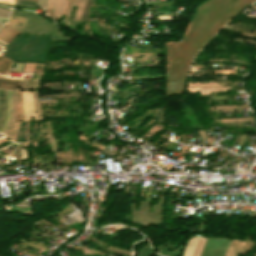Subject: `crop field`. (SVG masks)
<instances>
[{
    "label": "crop field",
    "instance_id": "crop-field-1",
    "mask_svg": "<svg viewBox=\"0 0 256 256\" xmlns=\"http://www.w3.org/2000/svg\"><path fill=\"white\" fill-rule=\"evenodd\" d=\"M204 239L202 236H192L187 242L182 256H198Z\"/></svg>",
    "mask_w": 256,
    "mask_h": 256
},
{
    "label": "crop field",
    "instance_id": "crop-field-2",
    "mask_svg": "<svg viewBox=\"0 0 256 256\" xmlns=\"http://www.w3.org/2000/svg\"><path fill=\"white\" fill-rule=\"evenodd\" d=\"M23 118L24 120L37 119L31 92H23Z\"/></svg>",
    "mask_w": 256,
    "mask_h": 256
},
{
    "label": "crop field",
    "instance_id": "crop-field-3",
    "mask_svg": "<svg viewBox=\"0 0 256 256\" xmlns=\"http://www.w3.org/2000/svg\"><path fill=\"white\" fill-rule=\"evenodd\" d=\"M20 31L13 29L7 25H4L0 31V36L11 41Z\"/></svg>",
    "mask_w": 256,
    "mask_h": 256
},
{
    "label": "crop field",
    "instance_id": "crop-field-4",
    "mask_svg": "<svg viewBox=\"0 0 256 256\" xmlns=\"http://www.w3.org/2000/svg\"><path fill=\"white\" fill-rule=\"evenodd\" d=\"M20 81L0 79V88L16 89Z\"/></svg>",
    "mask_w": 256,
    "mask_h": 256
},
{
    "label": "crop field",
    "instance_id": "crop-field-5",
    "mask_svg": "<svg viewBox=\"0 0 256 256\" xmlns=\"http://www.w3.org/2000/svg\"><path fill=\"white\" fill-rule=\"evenodd\" d=\"M11 60L5 57L0 56V74L4 75L9 69Z\"/></svg>",
    "mask_w": 256,
    "mask_h": 256
},
{
    "label": "crop field",
    "instance_id": "crop-field-6",
    "mask_svg": "<svg viewBox=\"0 0 256 256\" xmlns=\"http://www.w3.org/2000/svg\"><path fill=\"white\" fill-rule=\"evenodd\" d=\"M16 119H22V92L17 91V117Z\"/></svg>",
    "mask_w": 256,
    "mask_h": 256
},
{
    "label": "crop field",
    "instance_id": "crop-field-7",
    "mask_svg": "<svg viewBox=\"0 0 256 256\" xmlns=\"http://www.w3.org/2000/svg\"><path fill=\"white\" fill-rule=\"evenodd\" d=\"M10 109H11V90H9L8 117H7V119H6V121H5L4 125H3V127H2V129H1V132L3 131L5 125H6L8 119H9V117H10Z\"/></svg>",
    "mask_w": 256,
    "mask_h": 256
},
{
    "label": "crop field",
    "instance_id": "crop-field-8",
    "mask_svg": "<svg viewBox=\"0 0 256 256\" xmlns=\"http://www.w3.org/2000/svg\"><path fill=\"white\" fill-rule=\"evenodd\" d=\"M5 97H6V99H5V114L7 115L8 90H5ZM6 115L4 116V119H3V121H2V123L0 125V128H1V126L3 125V123H4L5 119H6Z\"/></svg>",
    "mask_w": 256,
    "mask_h": 256
},
{
    "label": "crop field",
    "instance_id": "crop-field-9",
    "mask_svg": "<svg viewBox=\"0 0 256 256\" xmlns=\"http://www.w3.org/2000/svg\"><path fill=\"white\" fill-rule=\"evenodd\" d=\"M1 3L11 4L14 5L16 3V0H0Z\"/></svg>",
    "mask_w": 256,
    "mask_h": 256
},
{
    "label": "crop field",
    "instance_id": "crop-field-10",
    "mask_svg": "<svg viewBox=\"0 0 256 256\" xmlns=\"http://www.w3.org/2000/svg\"><path fill=\"white\" fill-rule=\"evenodd\" d=\"M20 155H21V158H28L27 154H26V149L25 148H22L20 150Z\"/></svg>",
    "mask_w": 256,
    "mask_h": 256
},
{
    "label": "crop field",
    "instance_id": "crop-field-11",
    "mask_svg": "<svg viewBox=\"0 0 256 256\" xmlns=\"http://www.w3.org/2000/svg\"><path fill=\"white\" fill-rule=\"evenodd\" d=\"M2 49V47H0V50Z\"/></svg>",
    "mask_w": 256,
    "mask_h": 256
}]
</instances>
